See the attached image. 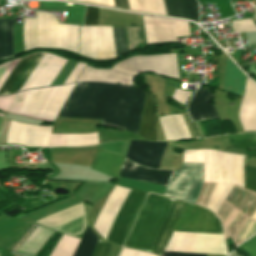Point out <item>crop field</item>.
<instances>
[{
  "label": "crop field",
  "instance_id": "733c2abd",
  "mask_svg": "<svg viewBox=\"0 0 256 256\" xmlns=\"http://www.w3.org/2000/svg\"><path fill=\"white\" fill-rule=\"evenodd\" d=\"M213 94L199 87L188 105L192 121L218 117L211 105Z\"/></svg>",
  "mask_w": 256,
  "mask_h": 256
},
{
  "label": "crop field",
  "instance_id": "d3111659",
  "mask_svg": "<svg viewBox=\"0 0 256 256\" xmlns=\"http://www.w3.org/2000/svg\"><path fill=\"white\" fill-rule=\"evenodd\" d=\"M227 136L233 147L256 149V134H233Z\"/></svg>",
  "mask_w": 256,
  "mask_h": 256
},
{
  "label": "crop field",
  "instance_id": "b80d0937",
  "mask_svg": "<svg viewBox=\"0 0 256 256\" xmlns=\"http://www.w3.org/2000/svg\"><path fill=\"white\" fill-rule=\"evenodd\" d=\"M21 57V56H20ZM20 57L16 58L13 60V62L10 64V66L8 67V69L5 71V73L3 74V76L0 79V86L1 84L4 82V80L6 79V77L8 76V74L11 72V70L13 69V67L15 66V64L18 62V60L20 59Z\"/></svg>",
  "mask_w": 256,
  "mask_h": 256
},
{
  "label": "crop field",
  "instance_id": "bd1437ed",
  "mask_svg": "<svg viewBox=\"0 0 256 256\" xmlns=\"http://www.w3.org/2000/svg\"><path fill=\"white\" fill-rule=\"evenodd\" d=\"M244 188L256 192V167L244 165Z\"/></svg>",
  "mask_w": 256,
  "mask_h": 256
},
{
  "label": "crop field",
  "instance_id": "e1f06a70",
  "mask_svg": "<svg viewBox=\"0 0 256 256\" xmlns=\"http://www.w3.org/2000/svg\"><path fill=\"white\" fill-rule=\"evenodd\" d=\"M120 256H155V255L123 248Z\"/></svg>",
  "mask_w": 256,
  "mask_h": 256
},
{
  "label": "crop field",
  "instance_id": "3316defc",
  "mask_svg": "<svg viewBox=\"0 0 256 256\" xmlns=\"http://www.w3.org/2000/svg\"><path fill=\"white\" fill-rule=\"evenodd\" d=\"M165 251L226 255L222 235L174 232ZM164 252L163 256H206L207 254Z\"/></svg>",
  "mask_w": 256,
  "mask_h": 256
},
{
  "label": "crop field",
  "instance_id": "28ad6ade",
  "mask_svg": "<svg viewBox=\"0 0 256 256\" xmlns=\"http://www.w3.org/2000/svg\"><path fill=\"white\" fill-rule=\"evenodd\" d=\"M202 184L203 164L183 163L164 195L195 203Z\"/></svg>",
  "mask_w": 256,
  "mask_h": 256
},
{
  "label": "crop field",
  "instance_id": "028f5c9d",
  "mask_svg": "<svg viewBox=\"0 0 256 256\" xmlns=\"http://www.w3.org/2000/svg\"><path fill=\"white\" fill-rule=\"evenodd\" d=\"M77 65V64H76ZM85 67L84 64L78 63V65L75 67V69L72 71L70 76L67 78V80L64 82V84L72 83L77 78L79 73L82 71V69Z\"/></svg>",
  "mask_w": 256,
  "mask_h": 256
},
{
  "label": "crop field",
  "instance_id": "750c4746",
  "mask_svg": "<svg viewBox=\"0 0 256 256\" xmlns=\"http://www.w3.org/2000/svg\"><path fill=\"white\" fill-rule=\"evenodd\" d=\"M116 58L127 52L124 27H112Z\"/></svg>",
  "mask_w": 256,
  "mask_h": 256
},
{
  "label": "crop field",
  "instance_id": "eef30255",
  "mask_svg": "<svg viewBox=\"0 0 256 256\" xmlns=\"http://www.w3.org/2000/svg\"><path fill=\"white\" fill-rule=\"evenodd\" d=\"M79 241V239L63 234L50 256H72Z\"/></svg>",
  "mask_w": 256,
  "mask_h": 256
},
{
  "label": "crop field",
  "instance_id": "4a817a6b",
  "mask_svg": "<svg viewBox=\"0 0 256 256\" xmlns=\"http://www.w3.org/2000/svg\"><path fill=\"white\" fill-rule=\"evenodd\" d=\"M183 162L204 163V182H216V151L185 150Z\"/></svg>",
  "mask_w": 256,
  "mask_h": 256
},
{
  "label": "crop field",
  "instance_id": "5142ce71",
  "mask_svg": "<svg viewBox=\"0 0 256 256\" xmlns=\"http://www.w3.org/2000/svg\"><path fill=\"white\" fill-rule=\"evenodd\" d=\"M174 173L173 170L145 168L125 159L119 177L167 186Z\"/></svg>",
  "mask_w": 256,
  "mask_h": 256
},
{
  "label": "crop field",
  "instance_id": "e52e79f7",
  "mask_svg": "<svg viewBox=\"0 0 256 256\" xmlns=\"http://www.w3.org/2000/svg\"><path fill=\"white\" fill-rule=\"evenodd\" d=\"M75 84L17 94L8 112L53 122Z\"/></svg>",
  "mask_w": 256,
  "mask_h": 256
},
{
  "label": "crop field",
  "instance_id": "ae1a2a85",
  "mask_svg": "<svg viewBox=\"0 0 256 256\" xmlns=\"http://www.w3.org/2000/svg\"><path fill=\"white\" fill-rule=\"evenodd\" d=\"M97 240L95 234L87 227L73 256H90Z\"/></svg>",
  "mask_w": 256,
  "mask_h": 256
},
{
  "label": "crop field",
  "instance_id": "d1516ede",
  "mask_svg": "<svg viewBox=\"0 0 256 256\" xmlns=\"http://www.w3.org/2000/svg\"><path fill=\"white\" fill-rule=\"evenodd\" d=\"M65 63L66 60L46 53L20 91L50 85Z\"/></svg>",
  "mask_w": 256,
  "mask_h": 256
},
{
  "label": "crop field",
  "instance_id": "4177f3b9",
  "mask_svg": "<svg viewBox=\"0 0 256 256\" xmlns=\"http://www.w3.org/2000/svg\"><path fill=\"white\" fill-rule=\"evenodd\" d=\"M246 76L227 59L224 89L232 91L240 96L243 95Z\"/></svg>",
  "mask_w": 256,
  "mask_h": 256
},
{
  "label": "crop field",
  "instance_id": "730fd06b",
  "mask_svg": "<svg viewBox=\"0 0 256 256\" xmlns=\"http://www.w3.org/2000/svg\"><path fill=\"white\" fill-rule=\"evenodd\" d=\"M130 10L166 15L163 0H128Z\"/></svg>",
  "mask_w": 256,
  "mask_h": 256
},
{
  "label": "crop field",
  "instance_id": "5866460e",
  "mask_svg": "<svg viewBox=\"0 0 256 256\" xmlns=\"http://www.w3.org/2000/svg\"><path fill=\"white\" fill-rule=\"evenodd\" d=\"M191 91H186V90H179L175 89L174 94L172 98L177 101L178 103L184 104L186 103Z\"/></svg>",
  "mask_w": 256,
  "mask_h": 256
},
{
  "label": "crop field",
  "instance_id": "00972430",
  "mask_svg": "<svg viewBox=\"0 0 256 256\" xmlns=\"http://www.w3.org/2000/svg\"><path fill=\"white\" fill-rule=\"evenodd\" d=\"M53 230L37 225L17 252L34 255ZM53 233V232H52Z\"/></svg>",
  "mask_w": 256,
  "mask_h": 256
},
{
  "label": "crop field",
  "instance_id": "b54c1fbb",
  "mask_svg": "<svg viewBox=\"0 0 256 256\" xmlns=\"http://www.w3.org/2000/svg\"><path fill=\"white\" fill-rule=\"evenodd\" d=\"M256 23V21H254Z\"/></svg>",
  "mask_w": 256,
  "mask_h": 256
},
{
  "label": "crop field",
  "instance_id": "120bbe31",
  "mask_svg": "<svg viewBox=\"0 0 256 256\" xmlns=\"http://www.w3.org/2000/svg\"><path fill=\"white\" fill-rule=\"evenodd\" d=\"M112 246L99 240L91 256H108Z\"/></svg>",
  "mask_w": 256,
  "mask_h": 256
},
{
  "label": "crop field",
  "instance_id": "f4fd0767",
  "mask_svg": "<svg viewBox=\"0 0 256 256\" xmlns=\"http://www.w3.org/2000/svg\"><path fill=\"white\" fill-rule=\"evenodd\" d=\"M142 71H152L179 78L175 54H164L128 58L108 70L86 66L76 82L99 81L131 85L133 76Z\"/></svg>",
  "mask_w": 256,
  "mask_h": 256
},
{
  "label": "crop field",
  "instance_id": "dafd665d",
  "mask_svg": "<svg viewBox=\"0 0 256 256\" xmlns=\"http://www.w3.org/2000/svg\"><path fill=\"white\" fill-rule=\"evenodd\" d=\"M167 15L178 16L198 21L196 0H164Z\"/></svg>",
  "mask_w": 256,
  "mask_h": 256
},
{
  "label": "crop field",
  "instance_id": "1d83c4d3",
  "mask_svg": "<svg viewBox=\"0 0 256 256\" xmlns=\"http://www.w3.org/2000/svg\"><path fill=\"white\" fill-rule=\"evenodd\" d=\"M238 248L247 256H256V235Z\"/></svg>",
  "mask_w": 256,
  "mask_h": 256
},
{
  "label": "crop field",
  "instance_id": "412701ff",
  "mask_svg": "<svg viewBox=\"0 0 256 256\" xmlns=\"http://www.w3.org/2000/svg\"><path fill=\"white\" fill-rule=\"evenodd\" d=\"M173 231L222 234L221 224L212 212L176 199L150 252L162 256Z\"/></svg>",
  "mask_w": 256,
  "mask_h": 256
},
{
  "label": "crop field",
  "instance_id": "a9b5d70f",
  "mask_svg": "<svg viewBox=\"0 0 256 256\" xmlns=\"http://www.w3.org/2000/svg\"><path fill=\"white\" fill-rule=\"evenodd\" d=\"M13 58V20H0V60Z\"/></svg>",
  "mask_w": 256,
  "mask_h": 256
},
{
  "label": "crop field",
  "instance_id": "d9b57169",
  "mask_svg": "<svg viewBox=\"0 0 256 256\" xmlns=\"http://www.w3.org/2000/svg\"><path fill=\"white\" fill-rule=\"evenodd\" d=\"M239 119L244 131H256V87L246 79Z\"/></svg>",
  "mask_w": 256,
  "mask_h": 256
},
{
  "label": "crop field",
  "instance_id": "5a996713",
  "mask_svg": "<svg viewBox=\"0 0 256 256\" xmlns=\"http://www.w3.org/2000/svg\"><path fill=\"white\" fill-rule=\"evenodd\" d=\"M244 156L217 151V184L207 204L214 213L234 184L243 188Z\"/></svg>",
  "mask_w": 256,
  "mask_h": 256
},
{
  "label": "crop field",
  "instance_id": "dd49c442",
  "mask_svg": "<svg viewBox=\"0 0 256 256\" xmlns=\"http://www.w3.org/2000/svg\"><path fill=\"white\" fill-rule=\"evenodd\" d=\"M129 190L115 186L104 203L94 228L105 239ZM144 193L130 190L106 240L122 244L129 222L137 210Z\"/></svg>",
  "mask_w": 256,
  "mask_h": 256
},
{
  "label": "crop field",
  "instance_id": "0bd39190",
  "mask_svg": "<svg viewBox=\"0 0 256 256\" xmlns=\"http://www.w3.org/2000/svg\"><path fill=\"white\" fill-rule=\"evenodd\" d=\"M75 1L89 2V3H95V4H101V5L115 7L113 0H75Z\"/></svg>",
  "mask_w": 256,
  "mask_h": 256
},
{
  "label": "crop field",
  "instance_id": "bc2a9ffb",
  "mask_svg": "<svg viewBox=\"0 0 256 256\" xmlns=\"http://www.w3.org/2000/svg\"><path fill=\"white\" fill-rule=\"evenodd\" d=\"M124 158L105 151H96L91 168L108 176L117 178L119 167Z\"/></svg>",
  "mask_w": 256,
  "mask_h": 256
},
{
  "label": "crop field",
  "instance_id": "d32e631a",
  "mask_svg": "<svg viewBox=\"0 0 256 256\" xmlns=\"http://www.w3.org/2000/svg\"><path fill=\"white\" fill-rule=\"evenodd\" d=\"M85 25H98V8L87 6Z\"/></svg>",
  "mask_w": 256,
  "mask_h": 256
},
{
  "label": "crop field",
  "instance_id": "c035e120",
  "mask_svg": "<svg viewBox=\"0 0 256 256\" xmlns=\"http://www.w3.org/2000/svg\"><path fill=\"white\" fill-rule=\"evenodd\" d=\"M114 1H115L116 7L129 9L127 0H114Z\"/></svg>",
  "mask_w": 256,
  "mask_h": 256
},
{
  "label": "crop field",
  "instance_id": "8a807250",
  "mask_svg": "<svg viewBox=\"0 0 256 256\" xmlns=\"http://www.w3.org/2000/svg\"><path fill=\"white\" fill-rule=\"evenodd\" d=\"M145 91L103 83H76L58 116L102 119L137 134Z\"/></svg>",
  "mask_w": 256,
  "mask_h": 256
},
{
  "label": "crop field",
  "instance_id": "22f410ed",
  "mask_svg": "<svg viewBox=\"0 0 256 256\" xmlns=\"http://www.w3.org/2000/svg\"><path fill=\"white\" fill-rule=\"evenodd\" d=\"M165 142L131 141L126 153V158L143 166L159 168Z\"/></svg>",
  "mask_w": 256,
  "mask_h": 256
},
{
  "label": "crop field",
  "instance_id": "92a150f3",
  "mask_svg": "<svg viewBox=\"0 0 256 256\" xmlns=\"http://www.w3.org/2000/svg\"><path fill=\"white\" fill-rule=\"evenodd\" d=\"M157 116L154 114V99L147 93L139 135L148 140H156Z\"/></svg>",
  "mask_w": 256,
  "mask_h": 256
},
{
  "label": "crop field",
  "instance_id": "c21b1889",
  "mask_svg": "<svg viewBox=\"0 0 256 256\" xmlns=\"http://www.w3.org/2000/svg\"><path fill=\"white\" fill-rule=\"evenodd\" d=\"M12 61H9L7 63H4V64H1L0 65V77L2 76V74L4 73V71L7 69V67L9 66V64L11 63Z\"/></svg>",
  "mask_w": 256,
  "mask_h": 256
},
{
  "label": "crop field",
  "instance_id": "d8731c3e",
  "mask_svg": "<svg viewBox=\"0 0 256 256\" xmlns=\"http://www.w3.org/2000/svg\"><path fill=\"white\" fill-rule=\"evenodd\" d=\"M172 202L150 193L124 246L149 252Z\"/></svg>",
  "mask_w": 256,
  "mask_h": 256
},
{
  "label": "crop field",
  "instance_id": "03da06ac",
  "mask_svg": "<svg viewBox=\"0 0 256 256\" xmlns=\"http://www.w3.org/2000/svg\"><path fill=\"white\" fill-rule=\"evenodd\" d=\"M251 219L256 220V211H255V213L252 215Z\"/></svg>",
  "mask_w": 256,
  "mask_h": 256
},
{
  "label": "crop field",
  "instance_id": "34b2d1b8",
  "mask_svg": "<svg viewBox=\"0 0 256 256\" xmlns=\"http://www.w3.org/2000/svg\"><path fill=\"white\" fill-rule=\"evenodd\" d=\"M112 186L113 184L110 183L86 181L72 198L39 210L37 212L23 216L21 219L36 221L68 207L81 203L85 200L94 205L105 195V193ZM83 212V205L81 203L41 220H38L36 221V223L49 227ZM85 226L86 218L85 214L83 213L49 228L55 231L75 236L79 233H82L85 229Z\"/></svg>",
  "mask_w": 256,
  "mask_h": 256
},
{
  "label": "crop field",
  "instance_id": "ac0d7876",
  "mask_svg": "<svg viewBox=\"0 0 256 256\" xmlns=\"http://www.w3.org/2000/svg\"><path fill=\"white\" fill-rule=\"evenodd\" d=\"M24 51L58 48L79 54V26L59 24L53 14L36 12L24 18ZM80 55L95 61L115 59L111 27L80 26Z\"/></svg>",
  "mask_w": 256,
  "mask_h": 256
},
{
  "label": "crop field",
  "instance_id": "cbeb9de0",
  "mask_svg": "<svg viewBox=\"0 0 256 256\" xmlns=\"http://www.w3.org/2000/svg\"><path fill=\"white\" fill-rule=\"evenodd\" d=\"M45 52L23 56L0 88V96L18 92Z\"/></svg>",
  "mask_w": 256,
  "mask_h": 256
},
{
  "label": "crop field",
  "instance_id": "214f88e0",
  "mask_svg": "<svg viewBox=\"0 0 256 256\" xmlns=\"http://www.w3.org/2000/svg\"><path fill=\"white\" fill-rule=\"evenodd\" d=\"M166 140L191 138L182 115H166L160 117Z\"/></svg>",
  "mask_w": 256,
  "mask_h": 256
}]
</instances>
